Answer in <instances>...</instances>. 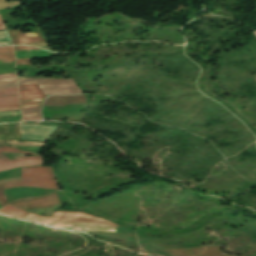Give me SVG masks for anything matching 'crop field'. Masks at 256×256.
Instances as JSON below:
<instances>
[{
    "label": "crop field",
    "mask_w": 256,
    "mask_h": 256,
    "mask_svg": "<svg viewBox=\"0 0 256 256\" xmlns=\"http://www.w3.org/2000/svg\"><path fill=\"white\" fill-rule=\"evenodd\" d=\"M24 220L53 227H72L73 225L118 227L117 224L102 218L73 211H55L53 217L35 215L28 212Z\"/></svg>",
    "instance_id": "crop-field-1"
},
{
    "label": "crop field",
    "mask_w": 256,
    "mask_h": 256,
    "mask_svg": "<svg viewBox=\"0 0 256 256\" xmlns=\"http://www.w3.org/2000/svg\"><path fill=\"white\" fill-rule=\"evenodd\" d=\"M0 184H4L5 189L32 186L60 190L51 168L46 167L22 168L21 178L3 179Z\"/></svg>",
    "instance_id": "crop-field-2"
},
{
    "label": "crop field",
    "mask_w": 256,
    "mask_h": 256,
    "mask_svg": "<svg viewBox=\"0 0 256 256\" xmlns=\"http://www.w3.org/2000/svg\"><path fill=\"white\" fill-rule=\"evenodd\" d=\"M19 85L38 83L45 94H79L80 89L73 79H18Z\"/></svg>",
    "instance_id": "crop-field-3"
},
{
    "label": "crop field",
    "mask_w": 256,
    "mask_h": 256,
    "mask_svg": "<svg viewBox=\"0 0 256 256\" xmlns=\"http://www.w3.org/2000/svg\"><path fill=\"white\" fill-rule=\"evenodd\" d=\"M22 139L34 141H48L52 130L57 126H42L19 123Z\"/></svg>",
    "instance_id": "crop-field-4"
},
{
    "label": "crop field",
    "mask_w": 256,
    "mask_h": 256,
    "mask_svg": "<svg viewBox=\"0 0 256 256\" xmlns=\"http://www.w3.org/2000/svg\"><path fill=\"white\" fill-rule=\"evenodd\" d=\"M83 103H85L84 95L52 96V97H48L45 105L64 107L65 104H83Z\"/></svg>",
    "instance_id": "crop-field-5"
},
{
    "label": "crop field",
    "mask_w": 256,
    "mask_h": 256,
    "mask_svg": "<svg viewBox=\"0 0 256 256\" xmlns=\"http://www.w3.org/2000/svg\"><path fill=\"white\" fill-rule=\"evenodd\" d=\"M19 92L21 100L45 98L38 84L19 86Z\"/></svg>",
    "instance_id": "crop-field-6"
},
{
    "label": "crop field",
    "mask_w": 256,
    "mask_h": 256,
    "mask_svg": "<svg viewBox=\"0 0 256 256\" xmlns=\"http://www.w3.org/2000/svg\"><path fill=\"white\" fill-rule=\"evenodd\" d=\"M52 53V54H49ZM24 54H49V55H25V56H18V55H24ZM16 59H24V58H36V57H51L54 56L55 53L44 51V50H36V51H22V52H15ZM31 59H24V60H16L17 65L26 64L31 65L30 62Z\"/></svg>",
    "instance_id": "crop-field-7"
},
{
    "label": "crop field",
    "mask_w": 256,
    "mask_h": 256,
    "mask_svg": "<svg viewBox=\"0 0 256 256\" xmlns=\"http://www.w3.org/2000/svg\"><path fill=\"white\" fill-rule=\"evenodd\" d=\"M0 213H4L9 216L23 219V217L26 215L27 211L7 204L0 210Z\"/></svg>",
    "instance_id": "crop-field-8"
},
{
    "label": "crop field",
    "mask_w": 256,
    "mask_h": 256,
    "mask_svg": "<svg viewBox=\"0 0 256 256\" xmlns=\"http://www.w3.org/2000/svg\"><path fill=\"white\" fill-rule=\"evenodd\" d=\"M0 156H2V158H0V166L42 160L40 156H31V157L18 158L17 160L10 161L2 153H0Z\"/></svg>",
    "instance_id": "crop-field-9"
},
{
    "label": "crop field",
    "mask_w": 256,
    "mask_h": 256,
    "mask_svg": "<svg viewBox=\"0 0 256 256\" xmlns=\"http://www.w3.org/2000/svg\"><path fill=\"white\" fill-rule=\"evenodd\" d=\"M14 62L12 46L0 47V63Z\"/></svg>",
    "instance_id": "crop-field-10"
},
{
    "label": "crop field",
    "mask_w": 256,
    "mask_h": 256,
    "mask_svg": "<svg viewBox=\"0 0 256 256\" xmlns=\"http://www.w3.org/2000/svg\"><path fill=\"white\" fill-rule=\"evenodd\" d=\"M8 145H26V146H38V147H44L45 143L0 141V147L8 146Z\"/></svg>",
    "instance_id": "crop-field-11"
},
{
    "label": "crop field",
    "mask_w": 256,
    "mask_h": 256,
    "mask_svg": "<svg viewBox=\"0 0 256 256\" xmlns=\"http://www.w3.org/2000/svg\"><path fill=\"white\" fill-rule=\"evenodd\" d=\"M12 40H13L14 44H26V43L43 41L42 37L16 38V39H12Z\"/></svg>",
    "instance_id": "crop-field-12"
},
{
    "label": "crop field",
    "mask_w": 256,
    "mask_h": 256,
    "mask_svg": "<svg viewBox=\"0 0 256 256\" xmlns=\"http://www.w3.org/2000/svg\"><path fill=\"white\" fill-rule=\"evenodd\" d=\"M73 229H78V230H101V231H111V232H116V230H117V229L108 228V227H92V226H74Z\"/></svg>",
    "instance_id": "crop-field-13"
},
{
    "label": "crop field",
    "mask_w": 256,
    "mask_h": 256,
    "mask_svg": "<svg viewBox=\"0 0 256 256\" xmlns=\"http://www.w3.org/2000/svg\"><path fill=\"white\" fill-rule=\"evenodd\" d=\"M44 164L43 161H37V162H31V163H24V164H17V165H11V166H5V167H0V171L20 167V166H33V165H41Z\"/></svg>",
    "instance_id": "crop-field-14"
},
{
    "label": "crop field",
    "mask_w": 256,
    "mask_h": 256,
    "mask_svg": "<svg viewBox=\"0 0 256 256\" xmlns=\"http://www.w3.org/2000/svg\"><path fill=\"white\" fill-rule=\"evenodd\" d=\"M11 38H16V37H27V36H40L39 32L36 33H26V34H21L20 30L17 31H8Z\"/></svg>",
    "instance_id": "crop-field-15"
},
{
    "label": "crop field",
    "mask_w": 256,
    "mask_h": 256,
    "mask_svg": "<svg viewBox=\"0 0 256 256\" xmlns=\"http://www.w3.org/2000/svg\"><path fill=\"white\" fill-rule=\"evenodd\" d=\"M12 42L6 31H0V46L11 45Z\"/></svg>",
    "instance_id": "crop-field-16"
},
{
    "label": "crop field",
    "mask_w": 256,
    "mask_h": 256,
    "mask_svg": "<svg viewBox=\"0 0 256 256\" xmlns=\"http://www.w3.org/2000/svg\"><path fill=\"white\" fill-rule=\"evenodd\" d=\"M19 103L18 96L0 98V105Z\"/></svg>",
    "instance_id": "crop-field-17"
},
{
    "label": "crop field",
    "mask_w": 256,
    "mask_h": 256,
    "mask_svg": "<svg viewBox=\"0 0 256 256\" xmlns=\"http://www.w3.org/2000/svg\"><path fill=\"white\" fill-rule=\"evenodd\" d=\"M12 87H17L16 80L1 81L0 82V89L1 88H12Z\"/></svg>",
    "instance_id": "crop-field-18"
},
{
    "label": "crop field",
    "mask_w": 256,
    "mask_h": 256,
    "mask_svg": "<svg viewBox=\"0 0 256 256\" xmlns=\"http://www.w3.org/2000/svg\"><path fill=\"white\" fill-rule=\"evenodd\" d=\"M23 120H41V113L22 115Z\"/></svg>",
    "instance_id": "crop-field-19"
},
{
    "label": "crop field",
    "mask_w": 256,
    "mask_h": 256,
    "mask_svg": "<svg viewBox=\"0 0 256 256\" xmlns=\"http://www.w3.org/2000/svg\"><path fill=\"white\" fill-rule=\"evenodd\" d=\"M13 94H18L17 88L0 90V96H2V95H13Z\"/></svg>",
    "instance_id": "crop-field-20"
},
{
    "label": "crop field",
    "mask_w": 256,
    "mask_h": 256,
    "mask_svg": "<svg viewBox=\"0 0 256 256\" xmlns=\"http://www.w3.org/2000/svg\"><path fill=\"white\" fill-rule=\"evenodd\" d=\"M0 152H12V153H29V154H34L32 152H24V151H19L15 148H9V147H3L0 148Z\"/></svg>",
    "instance_id": "crop-field-21"
},
{
    "label": "crop field",
    "mask_w": 256,
    "mask_h": 256,
    "mask_svg": "<svg viewBox=\"0 0 256 256\" xmlns=\"http://www.w3.org/2000/svg\"><path fill=\"white\" fill-rule=\"evenodd\" d=\"M43 99H38V100H26V101H21V105H27V104H39L42 103Z\"/></svg>",
    "instance_id": "crop-field-22"
},
{
    "label": "crop field",
    "mask_w": 256,
    "mask_h": 256,
    "mask_svg": "<svg viewBox=\"0 0 256 256\" xmlns=\"http://www.w3.org/2000/svg\"><path fill=\"white\" fill-rule=\"evenodd\" d=\"M7 203L4 193H3V186H0V205L1 207L4 206Z\"/></svg>",
    "instance_id": "crop-field-23"
},
{
    "label": "crop field",
    "mask_w": 256,
    "mask_h": 256,
    "mask_svg": "<svg viewBox=\"0 0 256 256\" xmlns=\"http://www.w3.org/2000/svg\"><path fill=\"white\" fill-rule=\"evenodd\" d=\"M41 107L38 108H28V109H22L23 114L26 113H35V112H40Z\"/></svg>",
    "instance_id": "crop-field-24"
},
{
    "label": "crop field",
    "mask_w": 256,
    "mask_h": 256,
    "mask_svg": "<svg viewBox=\"0 0 256 256\" xmlns=\"http://www.w3.org/2000/svg\"><path fill=\"white\" fill-rule=\"evenodd\" d=\"M15 120H21L20 116L2 117V118H0V122H4V121H15Z\"/></svg>",
    "instance_id": "crop-field-25"
},
{
    "label": "crop field",
    "mask_w": 256,
    "mask_h": 256,
    "mask_svg": "<svg viewBox=\"0 0 256 256\" xmlns=\"http://www.w3.org/2000/svg\"><path fill=\"white\" fill-rule=\"evenodd\" d=\"M20 114V110L0 112V116Z\"/></svg>",
    "instance_id": "crop-field-26"
},
{
    "label": "crop field",
    "mask_w": 256,
    "mask_h": 256,
    "mask_svg": "<svg viewBox=\"0 0 256 256\" xmlns=\"http://www.w3.org/2000/svg\"><path fill=\"white\" fill-rule=\"evenodd\" d=\"M33 49H38V48L29 47V46H15V51H19V50H33Z\"/></svg>",
    "instance_id": "crop-field-27"
},
{
    "label": "crop field",
    "mask_w": 256,
    "mask_h": 256,
    "mask_svg": "<svg viewBox=\"0 0 256 256\" xmlns=\"http://www.w3.org/2000/svg\"><path fill=\"white\" fill-rule=\"evenodd\" d=\"M11 79H16L15 74L0 76V80H11Z\"/></svg>",
    "instance_id": "crop-field-28"
},
{
    "label": "crop field",
    "mask_w": 256,
    "mask_h": 256,
    "mask_svg": "<svg viewBox=\"0 0 256 256\" xmlns=\"http://www.w3.org/2000/svg\"><path fill=\"white\" fill-rule=\"evenodd\" d=\"M14 107H19V104L0 106V109H3V108H14Z\"/></svg>",
    "instance_id": "crop-field-29"
},
{
    "label": "crop field",
    "mask_w": 256,
    "mask_h": 256,
    "mask_svg": "<svg viewBox=\"0 0 256 256\" xmlns=\"http://www.w3.org/2000/svg\"><path fill=\"white\" fill-rule=\"evenodd\" d=\"M42 104L40 105H28V106H21L22 108H27V107H37V106H41Z\"/></svg>",
    "instance_id": "crop-field-30"
},
{
    "label": "crop field",
    "mask_w": 256,
    "mask_h": 256,
    "mask_svg": "<svg viewBox=\"0 0 256 256\" xmlns=\"http://www.w3.org/2000/svg\"><path fill=\"white\" fill-rule=\"evenodd\" d=\"M2 29H5V28H4V26H3V24H2V22L0 20V30H2Z\"/></svg>",
    "instance_id": "crop-field-31"
},
{
    "label": "crop field",
    "mask_w": 256,
    "mask_h": 256,
    "mask_svg": "<svg viewBox=\"0 0 256 256\" xmlns=\"http://www.w3.org/2000/svg\"><path fill=\"white\" fill-rule=\"evenodd\" d=\"M15 109H20V108H14V109H3V110H0V111H4V110H15Z\"/></svg>",
    "instance_id": "crop-field-32"
}]
</instances>
